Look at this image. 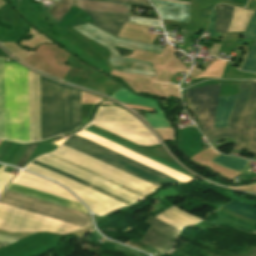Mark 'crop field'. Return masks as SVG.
Instances as JSON below:
<instances>
[{
    "mask_svg": "<svg viewBox=\"0 0 256 256\" xmlns=\"http://www.w3.org/2000/svg\"><path fill=\"white\" fill-rule=\"evenodd\" d=\"M0 203L87 228L90 215L5 190ZM0 204V229L10 232L71 233L83 228Z\"/></svg>",
    "mask_w": 256,
    "mask_h": 256,
    "instance_id": "8a807250",
    "label": "crop field"
},
{
    "mask_svg": "<svg viewBox=\"0 0 256 256\" xmlns=\"http://www.w3.org/2000/svg\"><path fill=\"white\" fill-rule=\"evenodd\" d=\"M42 139L81 124L80 91L41 76Z\"/></svg>",
    "mask_w": 256,
    "mask_h": 256,
    "instance_id": "ac0d7876",
    "label": "crop field"
},
{
    "mask_svg": "<svg viewBox=\"0 0 256 256\" xmlns=\"http://www.w3.org/2000/svg\"><path fill=\"white\" fill-rule=\"evenodd\" d=\"M85 36L97 41L98 43L107 47L111 54L118 55L117 51L114 49V46H121L129 49L135 50V48L151 51L155 53H162L163 48L160 46L141 43L122 37H116L110 33H107L93 25L85 24L77 27H73ZM110 55L108 62L113 69L120 70L127 73H139L150 76H156V72L152 67V63L145 62L141 60L131 59L127 57H118Z\"/></svg>",
    "mask_w": 256,
    "mask_h": 256,
    "instance_id": "34b2d1b8",
    "label": "crop field"
},
{
    "mask_svg": "<svg viewBox=\"0 0 256 256\" xmlns=\"http://www.w3.org/2000/svg\"><path fill=\"white\" fill-rule=\"evenodd\" d=\"M63 145L82 151L156 186L180 182L76 135H73L65 140Z\"/></svg>",
    "mask_w": 256,
    "mask_h": 256,
    "instance_id": "412701ff",
    "label": "crop field"
},
{
    "mask_svg": "<svg viewBox=\"0 0 256 256\" xmlns=\"http://www.w3.org/2000/svg\"><path fill=\"white\" fill-rule=\"evenodd\" d=\"M37 160H39L41 162H44L46 164H49V165H51L53 167H56V168H58L60 170H63L65 172H67V173H70L72 175H75V176H77L79 178H82V179H84V180H86V181H88L90 183H93V184H95V185H97V186H99L101 188H104V189H106V190H108L110 192H113V193H115V194H117V195H119L121 197H124V198H126V199H128V200H130L132 202H135V201H138V200L142 199V196H140V195H138V194H136L134 192H131V191L125 189V188H122V187H120V186H118V185H116L114 183H111V182H109V181H107V180H105L103 178H100V177H98V176H96V175H94L92 173H89V172H87V171H85L83 169H80V168H78V167H76V166H74L72 164L66 163L64 161L58 160V159L50 157L48 155L41 156ZM37 160H34L32 163L37 164L39 166H42V167H44L46 169H49L51 171H54V172H56L58 174H61V175L65 176V177H67V178H70V179H72L74 181H77V182H79V183H81L83 185H86V186H88V187H90L92 189H95V190H97V191H99L101 193H104V194H106L108 196H111V197H113V198H115L117 200H120V201H122V202H124L126 204L132 203V202H130V201L124 199V198H121V197H119V196H117V195H115L113 193H110V192H108V191H106L104 189H101V188H99V187H97V186H95L93 184H90V183H88V182H86V181H84L82 179H79V178H77L75 176L67 174V173H65L63 171H60V170H58L56 168H53V167H51L49 165L41 163V162H39Z\"/></svg>",
    "mask_w": 256,
    "mask_h": 256,
    "instance_id": "f4fd0767",
    "label": "crop field"
},
{
    "mask_svg": "<svg viewBox=\"0 0 256 256\" xmlns=\"http://www.w3.org/2000/svg\"><path fill=\"white\" fill-rule=\"evenodd\" d=\"M50 154L73 162L143 195L153 192L156 188V186L150 183L63 145H61L58 150Z\"/></svg>",
    "mask_w": 256,
    "mask_h": 256,
    "instance_id": "dd49c442",
    "label": "crop field"
},
{
    "mask_svg": "<svg viewBox=\"0 0 256 256\" xmlns=\"http://www.w3.org/2000/svg\"><path fill=\"white\" fill-rule=\"evenodd\" d=\"M100 114H102L104 116H107L109 118H112V119H114L116 121H119L121 123H124L126 125H129L131 127H134L136 129H139V130H141L143 132H146L148 134L153 135V133L147 127H145L139 120H137L135 117L130 115L125 110L117 108V107H99L98 113L96 114V116L93 118L92 121L87 123L83 127V129L86 128L87 126L91 125L92 123H94L95 120L99 117ZM104 116H102V117H104ZM102 117H99L97 119V121L94 123V125L102 128V129H105V130H107L109 132H112V133H114L116 135H119V136H121L123 138H126V139H128L130 141H133V142H135L137 144H141V145H145V146H150V145L158 144V141L154 140V139H156L155 137H153L154 135L153 136L148 135V134L143 133V132H141L139 130H136L134 128H131L129 126H126L124 124L116 122V121H114L112 119H109L107 117H104V118L109 119L111 121H114V122H116L118 124H121V125H123L125 127L133 129V130H135L137 132H140V133H142L144 135L152 137L154 139L149 138V137L144 136V135H142L140 133H137V132H135L133 130H130V129L125 128V127H123L121 125H118V124H116L114 122L106 120V119H104Z\"/></svg>",
    "mask_w": 256,
    "mask_h": 256,
    "instance_id": "e52e79f7",
    "label": "crop field"
},
{
    "mask_svg": "<svg viewBox=\"0 0 256 256\" xmlns=\"http://www.w3.org/2000/svg\"><path fill=\"white\" fill-rule=\"evenodd\" d=\"M12 184H16V185H19V186H22V187H26V188H29V189H32V190H36V191H39V192H43V193H46V194H49V195H53V196H56V197H60V198L66 199V200H70V201L79 203L72 196L71 193H69L65 189L61 188L60 186H58V185H56V184H54V183H52L48 180H45L43 178H40L36 175L30 174V173H27V172H24V171H20V173L13 180ZM12 184H10L8 186V188H7L8 190H12V191L19 192V193H22V194H26V195H29V196H32V197H36V198H39V199H43V200H46V201H50V202H53V203H57V204H60V205H64V206H67V207H70V208H74V209H77V210L87 212V210L80 204H76V203H73V202H70V201H66V200H63V199H60V198L49 196V195H46V194H43V193L32 191V190L22 188V187H19V186H16V185H12Z\"/></svg>",
    "mask_w": 256,
    "mask_h": 256,
    "instance_id": "d8731c3e",
    "label": "crop field"
},
{
    "mask_svg": "<svg viewBox=\"0 0 256 256\" xmlns=\"http://www.w3.org/2000/svg\"><path fill=\"white\" fill-rule=\"evenodd\" d=\"M26 169L60 182L65 187L70 189L73 193H75L90 208V210L95 213L104 214L126 205L120 201L110 198L104 194H101L95 190H92L86 186H83L79 183H76L70 179H67L61 175H58L32 163H30L26 167Z\"/></svg>",
    "mask_w": 256,
    "mask_h": 256,
    "instance_id": "5a996713",
    "label": "crop field"
},
{
    "mask_svg": "<svg viewBox=\"0 0 256 256\" xmlns=\"http://www.w3.org/2000/svg\"><path fill=\"white\" fill-rule=\"evenodd\" d=\"M220 91V84L189 89L186 98L198 117L202 128H214V113Z\"/></svg>",
    "mask_w": 256,
    "mask_h": 256,
    "instance_id": "3316defc",
    "label": "crop field"
},
{
    "mask_svg": "<svg viewBox=\"0 0 256 256\" xmlns=\"http://www.w3.org/2000/svg\"><path fill=\"white\" fill-rule=\"evenodd\" d=\"M256 106V81H252V87L245 108L240 116L237 126V140L234 149H245L246 153L255 154L256 157V127H247L249 117Z\"/></svg>",
    "mask_w": 256,
    "mask_h": 256,
    "instance_id": "28ad6ade",
    "label": "crop field"
},
{
    "mask_svg": "<svg viewBox=\"0 0 256 256\" xmlns=\"http://www.w3.org/2000/svg\"><path fill=\"white\" fill-rule=\"evenodd\" d=\"M146 223L151 226L140 242L162 252L171 251L180 230L152 216L148 218Z\"/></svg>",
    "mask_w": 256,
    "mask_h": 256,
    "instance_id": "d1516ede",
    "label": "crop field"
},
{
    "mask_svg": "<svg viewBox=\"0 0 256 256\" xmlns=\"http://www.w3.org/2000/svg\"><path fill=\"white\" fill-rule=\"evenodd\" d=\"M232 6L219 4L216 6V22L214 31L228 32L233 12ZM253 11L234 9L229 32L244 31Z\"/></svg>",
    "mask_w": 256,
    "mask_h": 256,
    "instance_id": "22f410ed",
    "label": "crop field"
},
{
    "mask_svg": "<svg viewBox=\"0 0 256 256\" xmlns=\"http://www.w3.org/2000/svg\"><path fill=\"white\" fill-rule=\"evenodd\" d=\"M54 1L74 5L80 8L126 13V14H129V9H130V5L94 1V0H54ZM58 2H55L47 12H49L54 17V19L59 21L71 6L58 3Z\"/></svg>",
    "mask_w": 256,
    "mask_h": 256,
    "instance_id": "cbeb9de0",
    "label": "crop field"
},
{
    "mask_svg": "<svg viewBox=\"0 0 256 256\" xmlns=\"http://www.w3.org/2000/svg\"><path fill=\"white\" fill-rule=\"evenodd\" d=\"M251 81L252 80H246L240 82L239 94L236 99V103L232 109L231 116L229 118L228 128L202 129L205 137L208 139L210 143H212L210 139L236 137L237 121L239 119L243 106L247 100Z\"/></svg>",
    "mask_w": 256,
    "mask_h": 256,
    "instance_id": "5142ce71",
    "label": "crop field"
},
{
    "mask_svg": "<svg viewBox=\"0 0 256 256\" xmlns=\"http://www.w3.org/2000/svg\"><path fill=\"white\" fill-rule=\"evenodd\" d=\"M30 142L40 140L39 76L28 71Z\"/></svg>",
    "mask_w": 256,
    "mask_h": 256,
    "instance_id": "d9b57169",
    "label": "crop field"
},
{
    "mask_svg": "<svg viewBox=\"0 0 256 256\" xmlns=\"http://www.w3.org/2000/svg\"><path fill=\"white\" fill-rule=\"evenodd\" d=\"M114 99H118L124 103L130 104H137V105H144L155 108L156 112L147 114V118H145L153 127H170L169 123L165 119L164 113L158 107L156 101L145 99L138 97L128 91L126 88H121L120 90L116 91L112 95H110Z\"/></svg>",
    "mask_w": 256,
    "mask_h": 256,
    "instance_id": "733c2abd",
    "label": "crop field"
},
{
    "mask_svg": "<svg viewBox=\"0 0 256 256\" xmlns=\"http://www.w3.org/2000/svg\"><path fill=\"white\" fill-rule=\"evenodd\" d=\"M162 19L189 23L190 5L166 0H151Z\"/></svg>",
    "mask_w": 256,
    "mask_h": 256,
    "instance_id": "4a817a6b",
    "label": "crop field"
},
{
    "mask_svg": "<svg viewBox=\"0 0 256 256\" xmlns=\"http://www.w3.org/2000/svg\"><path fill=\"white\" fill-rule=\"evenodd\" d=\"M93 20V25L108 31L114 35H118L125 22H129L130 16L86 11ZM107 32V33H108Z\"/></svg>",
    "mask_w": 256,
    "mask_h": 256,
    "instance_id": "bc2a9ffb",
    "label": "crop field"
},
{
    "mask_svg": "<svg viewBox=\"0 0 256 256\" xmlns=\"http://www.w3.org/2000/svg\"><path fill=\"white\" fill-rule=\"evenodd\" d=\"M156 217L178 229H181L182 226L193 224L201 220L193 215L179 210L174 206Z\"/></svg>",
    "mask_w": 256,
    "mask_h": 256,
    "instance_id": "214f88e0",
    "label": "crop field"
},
{
    "mask_svg": "<svg viewBox=\"0 0 256 256\" xmlns=\"http://www.w3.org/2000/svg\"><path fill=\"white\" fill-rule=\"evenodd\" d=\"M236 96L237 95L229 96V98L219 97L216 110L215 128L227 127L228 117Z\"/></svg>",
    "mask_w": 256,
    "mask_h": 256,
    "instance_id": "92a150f3",
    "label": "crop field"
},
{
    "mask_svg": "<svg viewBox=\"0 0 256 256\" xmlns=\"http://www.w3.org/2000/svg\"><path fill=\"white\" fill-rule=\"evenodd\" d=\"M222 207L234 213L256 220V208L254 207L239 203L234 200H231L229 203L223 205Z\"/></svg>",
    "mask_w": 256,
    "mask_h": 256,
    "instance_id": "dafd665d",
    "label": "crop field"
},
{
    "mask_svg": "<svg viewBox=\"0 0 256 256\" xmlns=\"http://www.w3.org/2000/svg\"><path fill=\"white\" fill-rule=\"evenodd\" d=\"M213 162H216L223 167H228L230 169L240 172H242L245 165L247 164V161L243 159L237 157L223 156L221 154L217 158H215Z\"/></svg>",
    "mask_w": 256,
    "mask_h": 256,
    "instance_id": "00972430",
    "label": "crop field"
},
{
    "mask_svg": "<svg viewBox=\"0 0 256 256\" xmlns=\"http://www.w3.org/2000/svg\"><path fill=\"white\" fill-rule=\"evenodd\" d=\"M0 138L5 139L3 58H0Z\"/></svg>",
    "mask_w": 256,
    "mask_h": 256,
    "instance_id": "a9b5d70f",
    "label": "crop field"
},
{
    "mask_svg": "<svg viewBox=\"0 0 256 256\" xmlns=\"http://www.w3.org/2000/svg\"><path fill=\"white\" fill-rule=\"evenodd\" d=\"M241 70L256 73V44H253L252 49L246 58Z\"/></svg>",
    "mask_w": 256,
    "mask_h": 256,
    "instance_id": "4177f3b9",
    "label": "crop field"
},
{
    "mask_svg": "<svg viewBox=\"0 0 256 256\" xmlns=\"http://www.w3.org/2000/svg\"><path fill=\"white\" fill-rule=\"evenodd\" d=\"M130 22L161 27L160 21L156 20V19H149V18H141V17L131 16Z\"/></svg>",
    "mask_w": 256,
    "mask_h": 256,
    "instance_id": "730fd06b",
    "label": "crop field"
},
{
    "mask_svg": "<svg viewBox=\"0 0 256 256\" xmlns=\"http://www.w3.org/2000/svg\"><path fill=\"white\" fill-rule=\"evenodd\" d=\"M244 38L256 39V12L245 32Z\"/></svg>",
    "mask_w": 256,
    "mask_h": 256,
    "instance_id": "eef30255",
    "label": "crop field"
},
{
    "mask_svg": "<svg viewBox=\"0 0 256 256\" xmlns=\"http://www.w3.org/2000/svg\"><path fill=\"white\" fill-rule=\"evenodd\" d=\"M35 146H36V144H29L26 152L24 153V155L22 156L21 160L17 164V167H21V168L23 167V165L25 164L26 160L28 159V157L32 153V151L35 148Z\"/></svg>",
    "mask_w": 256,
    "mask_h": 256,
    "instance_id": "ae1a2a85",
    "label": "crop field"
},
{
    "mask_svg": "<svg viewBox=\"0 0 256 256\" xmlns=\"http://www.w3.org/2000/svg\"><path fill=\"white\" fill-rule=\"evenodd\" d=\"M214 22H215V10H213L210 14V22H209L207 32H211L210 36L221 38L220 33L213 32Z\"/></svg>",
    "mask_w": 256,
    "mask_h": 256,
    "instance_id": "d3111659",
    "label": "crop field"
},
{
    "mask_svg": "<svg viewBox=\"0 0 256 256\" xmlns=\"http://www.w3.org/2000/svg\"><path fill=\"white\" fill-rule=\"evenodd\" d=\"M19 239H15V238H11V237H8V236H4V235H0V243H3V244H7V245H10L16 241H18Z\"/></svg>",
    "mask_w": 256,
    "mask_h": 256,
    "instance_id": "750c4746",
    "label": "crop field"
},
{
    "mask_svg": "<svg viewBox=\"0 0 256 256\" xmlns=\"http://www.w3.org/2000/svg\"><path fill=\"white\" fill-rule=\"evenodd\" d=\"M219 46L220 45H217V44H213L208 56L210 55H217V52H218V49H219Z\"/></svg>",
    "mask_w": 256,
    "mask_h": 256,
    "instance_id": "bd1437ed",
    "label": "crop field"
},
{
    "mask_svg": "<svg viewBox=\"0 0 256 256\" xmlns=\"http://www.w3.org/2000/svg\"><path fill=\"white\" fill-rule=\"evenodd\" d=\"M249 125L255 126L256 125V109L254 111V114L252 116L251 122Z\"/></svg>",
    "mask_w": 256,
    "mask_h": 256,
    "instance_id": "1d83c4d3",
    "label": "crop field"
},
{
    "mask_svg": "<svg viewBox=\"0 0 256 256\" xmlns=\"http://www.w3.org/2000/svg\"><path fill=\"white\" fill-rule=\"evenodd\" d=\"M111 1L127 2V3H134V4H141V5L150 6L149 4H145V3H137V2H129V1H121V0H111Z\"/></svg>",
    "mask_w": 256,
    "mask_h": 256,
    "instance_id": "120bbe31",
    "label": "crop field"
},
{
    "mask_svg": "<svg viewBox=\"0 0 256 256\" xmlns=\"http://www.w3.org/2000/svg\"><path fill=\"white\" fill-rule=\"evenodd\" d=\"M129 1H137V2H145V3H148L147 0H129Z\"/></svg>",
    "mask_w": 256,
    "mask_h": 256,
    "instance_id": "d32e631a",
    "label": "crop field"
},
{
    "mask_svg": "<svg viewBox=\"0 0 256 256\" xmlns=\"http://www.w3.org/2000/svg\"><path fill=\"white\" fill-rule=\"evenodd\" d=\"M18 171H19V170H18V169H16V168H14V170H13V172H16V173H18Z\"/></svg>",
    "mask_w": 256,
    "mask_h": 256,
    "instance_id": "5866460e",
    "label": "crop field"
},
{
    "mask_svg": "<svg viewBox=\"0 0 256 256\" xmlns=\"http://www.w3.org/2000/svg\"><path fill=\"white\" fill-rule=\"evenodd\" d=\"M3 246H7V245L0 244V247H3Z\"/></svg>",
    "mask_w": 256,
    "mask_h": 256,
    "instance_id": "028f5c9d",
    "label": "crop field"
},
{
    "mask_svg": "<svg viewBox=\"0 0 256 256\" xmlns=\"http://www.w3.org/2000/svg\"><path fill=\"white\" fill-rule=\"evenodd\" d=\"M172 1H174V0H172ZM177 2H180V1H177ZM182 3H185V2H182ZM188 4H190V2Z\"/></svg>",
    "mask_w": 256,
    "mask_h": 256,
    "instance_id": "e1f06a70",
    "label": "crop field"
}]
</instances>
